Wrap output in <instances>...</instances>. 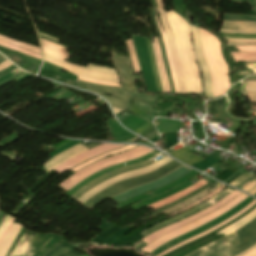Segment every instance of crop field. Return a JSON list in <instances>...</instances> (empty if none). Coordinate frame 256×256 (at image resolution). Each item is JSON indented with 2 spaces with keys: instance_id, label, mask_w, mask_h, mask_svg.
I'll return each mask as SVG.
<instances>
[{
  "instance_id": "crop-field-1",
  "label": "crop field",
  "mask_w": 256,
  "mask_h": 256,
  "mask_svg": "<svg viewBox=\"0 0 256 256\" xmlns=\"http://www.w3.org/2000/svg\"><path fill=\"white\" fill-rule=\"evenodd\" d=\"M166 16L169 27L175 37L187 93H201L200 76L191 45L189 25L181 16L173 11L167 12Z\"/></svg>"
},
{
  "instance_id": "crop-field-2",
  "label": "crop field",
  "mask_w": 256,
  "mask_h": 256,
  "mask_svg": "<svg viewBox=\"0 0 256 256\" xmlns=\"http://www.w3.org/2000/svg\"><path fill=\"white\" fill-rule=\"evenodd\" d=\"M256 244V218L248 224L187 256H235Z\"/></svg>"
},
{
  "instance_id": "crop-field-3",
  "label": "crop field",
  "mask_w": 256,
  "mask_h": 256,
  "mask_svg": "<svg viewBox=\"0 0 256 256\" xmlns=\"http://www.w3.org/2000/svg\"><path fill=\"white\" fill-rule=\"evenodd\" d=\"M202 47L208 66L211 70L213 97L225 93L230 87L228 82V67L220 53V42L212 34L200 29Z\"/></svg>"
},
{
  "instance_id": "crop-field-4",
  "label": "crop field",
  "mask_w": 256,
  "mask_h": 256,
  "mask_svg": "<svg viewBox=\"0 0 256 256\" xmlns=\"http://www.w3.org/2000/svg\"><path fill=\"white\" fill-rule=\"evenodd\" d=\"M180 165H182V164L173 160L150 174L121 181V182L103 190L102 192L96 194L89 201H87L86 203H84L82 205L91 211L97 204L104 201L105 199H107L121 191L138 186L142 183L155 180V179L169 173L170 171H172L173 169L177 168Z\"/></svg>"
},
{
  "instance_id": "crop-field-5",
  "label": "crop field",
  "mask_w": 256,
  "mask_h": 256,
  "mask_svg": "<svg viewBox=\"0 0 256 256\" xmlns=\"http://www.w3.org/2000/svg\"><path fill=\"white\" fill-rule=\"evenodd\" d=\"M151 151H152V149H148V148L139 146V147H137L131 151L125 152L123 154L111 156L103 161L93 164V165L73 174L72 176H70L68 179H66L63 183H61L58 186L68 190L71 187H73L74 185H76L78 182H80L82 179H84L85 177H87L88 175H90L94 172L102 170V169L109 167L111 165H114L116 163L136 159V158H138L142 155H145Z\"/></svg>"
},
{
  "instance_id": "crop-field-6",
  "label": "crop field",
  "mask_w": 256,
  "mask_h": 256,
  "mask_svg": "<svg viewBox=\"0 0 256 256\" xmlns=\"http://www.w3.org/2000/svg\"><path fill=\"white\" fill-rule=\"evenodd\" d=\"M44 58L46 61H48L54 65L60 66L75 75H79L81 77L92 79V80L119 83L118 77H117L114 69L94 66V65H90V64L88 65L87 68H83V67H79V66L73 65L71 63L65 62L58 58L52 57L45 53H44Z\"/></svg>"
},
{
  "instance_id": "crop-field-7",
  "label": "crop field",
  "mask_w": 256,
  "mask_h": 256,
  "mask_svg": "<svg viewBox=\"0 0 256 256\" xmlns=\"http://www.w3.org/2000/svg\"><path fill=\"white\" fill-rule=\"evenodd\" d=\"M189 171H191V169L182 165L158 180H155V181L147 183L145 185L130 189L124 193L113 196L110 199L114 200L115 202H117L119 204L123 203L139 194H143L148 191L155 190V189L177 179L178 177L184 175L185 173H187Z\"/></svg>"
},
{
  "instance_id": "crop-field-8",
  "label": "crop field",
  "mask_w": 256,
  "mask_h": 256,
  "mask_svg": "<svg viewBox=\"0 0 256 256\" xmlns=\"http://www.w3.org/2000/svg\"><path fill=\"white\" fill-rule=\"evenodd\" d=\"M67 84L77 86V87L89 90L91 92H95V93L103 96L112 107H116V108L123 109V110H125L128 107L129 102L132 97L131 95L121 93V89H119V88L89 84V83L81 82L78 80H76L75 83L67 81ZM106 93L116 96L128 103H126L118 98L107 96V95H105Z\"/></svg>"
},
{
  "instance_id": "crop-field-9",
  "label": "crop field",
  "mask_w": 256,
  "mask_h": 256,
  "mask_svg": "<svg viewBox=\"0 0 256 256\" xmlns=\"http://www.w3.org/2000/svg\"><path fill=\"white\" fill-rule=\"evenodd\" d=\"M156 1H157L158 9H159V12H160V16H161L162 27H163V29L166 33V37H167V41H168V45H169V49H170V53H171V59H172L173 67H174V70H175V73H176V76H177L179 91H180V93H186L182 70H181V67H180L179 60H178L177 55H176L174 38H173L172 33H171V31L168 27L167 20H166V17H165V13H164L163 0H156Z\"/></svg>"
},
{
  "instance_id": "crop-field-10",
  "label": "crop field",
  "mask_w": 256,
  "mask_h": 256,
  "mask_svg": "<svg viewBox=\"0 0 256 256\" xmlns=\"http://www.w3.org/2000/svg\"><path fill=\"white\" fill-rule=\"evenodd\" d=\"M238 194H240V192L234 190L231 194H229L227 197L222 199L217 204L211 206L210 208H208V209H206V210H204V211H202V212H200L198 214H195V215H193V216H191L189 218H186V219H184L182 221H179V222H177V223H175L173 225H170V226H168V227H166V228H164V229H162V230H160V231H158V232H156V233H154V234H152V235H150V236H148V237H146V238H144L142 240L145 241L148 244V243L152 242L153 240L161 237L162 235H164V234H166V233H168V232H170L172 230H175L177 228H180V227L190 223L191 221H193V220H195V219H197V218H199V217H201V216H203V215H205V214H207V213H209V212H211V211H213V210L223 206L228 201H230L231 199L236 197Z\"/></svg>"
},
{
  "instance_id": "crop-field-11",
  "label": "crop field",
  "mask_w": 256,
  "mask_h": 256,
  "mask_svg": "<svg viewBox=\"0 0 256 256\" xmlns=\"http://www.w3.org/2000/svg\"><path fill=\"white\" fill-rule=\"evenodd\" d=\"M112 60L122 80V86H123L122 92L124 93L136 92L135 83L133 81L135 77L132 74V69H131L129 59L126 57H121L113 51Z\"/></svg>"
},
{
  "instance_id": "crop-field-12",
  "label": "crop field",
  "mask_w": 256,
  "mask_h": 256,
  "mask_svg": "<svg viewBox=\"0 0 256 256\" xmlns=\"http://www.w3.org/2000/svg\"><path fill=\"white\" fill-rule=\"evenodd\" d=\"M172 159H170L169 157H164L163 159L159 160L158 162H156L155 164L151 165L150 167H147V168H143V169H140V170H136V171H133V172H130V173H126V174H123V175H120L118 177H115L93 189H91L89 192H87L85 195H83L81 198H79L77 200V202L79 203H83L85 202L87 199H89L91 196H93L95 193L103 190L104 188L118 182V181H121V180H124L126 178H129V177H133V176H136V175H140V174H145V173H149L151 172L152 170L162 166L163 164L167 163L168 161H170Z\"/></svg>"
},
{
  "instance_id": "crop-field-13",
  "label": "crop field",
  "mask_w": 256,
  "mask_h": 256,
  "mask_svg": "<svg viewBox=\"0 0 256 256\" xmlns=\"http://www.w3.org/2000/svg\"><path fill=\"white\" fill-rule=\"evenodd\" d=\"M149 166L147 163L145 162H141L139 164H134V165H129V166H125V167H121V168H117L114 171H110L104 175H102L101 177L87 183L86 185H84L83 187H81L80 189H78L77 191L74 192V194L72 196H70L72 199H74L75 201L82 196L83 194H85L87 191H89L91 188H93L94 186L112 178L115 176H118L120 174L129 172V171H133L139 168H143Z\"/></svg>"
},
{
  "instance_id": "crop-field-14",
  "label": "crop field",
  "mask_w": 256,
  "mask_h": 256,
  "mask_svg": "<svg viewBox=\"0 0 256 256\" xmlns=\"http://www.w3.org/2000/svg\"><path fill=\"white\" fill-rule=\"evenodd\" d=\"M191 28H192V34H193L194 47H195L197 61L200 66L201 72L203 74V81H204L206 97H212L210 71L208 69V66L206 64V61H205V58L203 55L199 30L197 27H194L192 25H191Z\"/></svg>"
},
{
  "instance_id": "crop-field-15",
  "label": "crop field",
  "mask_w": 256,
  "mask_h": 256,
  "mask_svg": "<svg viewBox=\"0 0 256 256\" xmlns=\"http://www.w3.org/2000/svg\"><path fill=\"white\" fill-rule=\"evenodd\" d=\"M230 192H232V190L225 189L224 191H222L221 193H219L215 197H213L210 200L206 201L205 203L201 204L200 206H198V207H196V208H194V209H192V210H190V211H188V212H186V213H184V214H182L180 216H177V217L172 218V219H170L168 221H165V222H163L161 224H158V225H156V226H154V227H152V228H150V229H148V230H146V231H144V232H142L140 234L145 237V236H147V235H149V234H151V233H153V232H155V231H157V230H159V229H161L163 227H166V226H168V225H170V224H172L174 222H177V221H179V220H181V219H183L185 217L193 215V214H195V213H197V212H199V211H201V210H203V209H205V208L215 204L216 202H218L219 200H221L222 198L227 196Z\"/></svg>"
},
{
  "instance_id": "crop-field-16",
  "label": "crop field",
  "mask_w": 256,
  "mask_h": 256,
  "mask_svg": "<svg viewBox=\"0 0 256 256\" xmlns=\"http://www.w3.org/2000/svg\"><path fill=\"white\" fill-rule=\"evenodd\" d=\"M197 173L198 172L192 171L189 174H187L186 176L182 177L181 179H179V180H177V181H175V182H173V183H171V184H169V185H167L165 187H162V188H160L158 190H155V196H157V195H159V194H161V193H163V192H165V191H167L169 189H172V188H174V187L184 183L185 181L193 178ZM150 197H153V196L150 193H148V194L136 197V198H134V199H132V200H130L128 202H125V203L121 204V205H118V206L114 207V209L120 211V210H122V209H124V208H126V207H128V206H130L132 204H135V203H137V202H139L141 200L143 201V200H145L147 198H150Z\"/></svg>"
},
{
  "instance_id": "crop-field-17",
  "label": "crop field",
  "mask_w": 256,
  "mask_h": 256,
  "mask_svg": "<svg viewBox=\"0 0 256 256\" xmlns=\"http://www.w3.org/2000/svg\"><path fill=\"white\" fill-rule=\"evenodd\" d=\"M87 149L85 147H83L82 145H77L61 154H59L58 156L54 157L53 159H51L50 161H48L44 166L45 168L48 170V172L50 170H52L54 167L60 165L61 163L85 152Z\"/></svg>"
},
{
  "instance_id": "crop-field-18",
  "label": "crop field",
  "mask_w": 256,
  "mask_h": 256,
  "mask_svg": "<svg viewBox=\"0 0 256 256\" xmlns=\"http://www.w3.org/2000/svg\"><path fill=\"white\" fill-rule=\"evenodd\" d=\"M222 28L248 30V31H233V30L221 29L220 31L223 33L253 34V33H256V22L223 21Z\"/></svg>"
},
{
  "instance_id": "crop-field-19",
  "label": "crop field",
  "mask_w": 256,
  "mask_h": 256,
  "mask_svg": "<svg viewBox=\"0 0 256 256\" xmlns=\"http://www.w3.org/2000/svg\"><path fill=\"white\" fill-rule=\"evenodd\" d=\"M191 185H193V184L190 183L189 181H187L184 184H182V185H180V186H178V187H176V188H174V189H172V190H170V191H168V192H166L164 194H161V195H159V196H157L155 198H152V199L145 200V201H143V202H141V203H139V204H137V205H135V206H133L131 208H133V209L138 211V210L142 209L143 207H145V206H147V205H149V204H151V203H153L155 201H158V200L163 199L165 197H168V196H170L172 194L180 192V191L186 189L187 187H189Z\"/></svg>"
},
{
  "instance_id": "crop-field-20",
  "label": "crop field",
  "mask_w": 256,
  "mask_h": 256,
  "mask_svg": "<svg viewBox=\"0 0 256 256\" xmlns=\"http://www.w3.org/2000/svg\"><path fill=\"white\" fill-rule=\"evenodd\" d=\"M34 236L35 233L25 230L11 256H22Z\"/></svg>"
},
{
  "instance_id": "crop-field-21",
  "label": "crop field",
  "mask_w": 256,
  "mask_h": 256,
  "mask_svg": "<svg viewBox=\"0 0 256 256\" xmlns=\"http://www.w3.org/2000/svg\"><path fill=\"white\" fill-rule=\"evenodd\" d=\"M223 101L224 97L218 100L208 101L206 104L207 112L217 115L215 122H220L223 117Z\"/></svg>"
},
{
  "instance_id": "crop-field-22",
  "label": "crop field",
  "mask_w": 256,
  "mask_h": 256,
  "mask_svg": "<svg viewBox=\"0 0 256 256\" xmlns=\"http://www.w3.org/2000/svg\"><path fill=\"white\" fill-rule=\"evenodd\" d=\"M21 226L18 224H15L12 226L10 229L9 233L7 234L6 238L4 239L3 243L0 246V256H4L5 253L7 252L8 248L10 247L11 243L15 239L16 235L20 231Z\"/></svg>"
},
{
  "instance_id": "crop-field-23",
  "label": "crop field",
  "mask_w": 256,
  "mask_h": 256,
  "mask_svg": "<svg viewBox=\"0 0 256 256\" xmlns=\"http://www.w3.org/2000/svg\"><path fill=\"white\" fill-rule=\"evenodd\" d=\"M155 17H156V22H157L158 28H159V30L161 32V35H162V38H163L165 53H166V57H167V60H168V64H169V68H170V72H171V76H172V80H173V84H174V90H175V93H179L176 78H175V74H174V70H173V67H172V64H171V59H170V54H169L166 38H165V36L163 34V31L160 27L158 15L155 14Z\"/></svg>"
},
{
  "instance_id": "crop-field-24",
  "label": "crop field",
  "mask_w": 256,
  "mask_h": 256,
  "mask_svg": "<svg viewBox=\"0 0 256 256\" xmlns=\"http://www.w3.org/2000/svg\"><path fill=\"white\" fill-rule=\"evenodd\" d=\"M220 185H221V184H219L217 187L213 188L212 190H210V191L207 192L206 194H204V195H202V196H200V197H198V198H196V199L190 201L191 199L195 198L196 196H198V195H200L201 193H203V192H205V191H207V190L210 189V188H207V189L203 190L202 192H200L199 194H197V195H195V196H193V197H191V198H189V199H187V200H185V201H183V202H181V203H179V204H177V205H175V206H173V207H171V208H169V209H167V210H164V211H162V212H160V213H158V214H156V215H153V216H151V217L145 219L144 221H146V220H148V219H150V218H153V217H155V216H157V215H160V214H162V213H164V212H166V211H168V210H170V209H173V208H175V207H177V206H180V205H182V204H184V203L190 201V202H188V203H186V204H184V205H182V206H180V207H178V208H175V209H173V210L167 212L166 214L173 213V212H175V211H177V210H179V209H181V208H183V207H185V206L191 204L192 202L198 200L199 198H201V197H203V196H205V195H207V194L213 192V191L216 190Z\"/></svg>"
},
{
  "instance_id": "crop-field-25",
  "label": "crop field",
  "mask_w": 256,
  "mask_h": 256,
  "mask_svg": "<svg viewBox=\"0 0 256 256\" xmlns=\"http://www.w3.org/2000/svg\"><path fill=\"white\" fill-rule=\"evenodd\" d=\"M135 147H137V146L129 145V146L124 147L122 149L105 153V154H103V155H101V156H99L97 158H94V159H92V160H90V161H88V162H86L84 164L78 165L77 167L71 169V171L76 172V171H78V170H80V169H82V168H84V167H86V166H88V165H90V164H92V163H94V162L104 158V157L111 156V155H114V154H117V153H121V152L127 151V150L135 148Z\"/></svg>"
},
{
  "instance_id": "crop-field-26",
  "label": "crop field",
  "mask_w": 256,
  "mask_h": 256,
  "mask_svg": "<svg viewBox=\"0 0 256 256\" xmlns=\"http://www.w3.org/2000/svg\"><path fill=\"white\" fill-rule=\"evenodd\" d=\"M234 61H256V53L253 52H231Z\"/></svg>"
},
{
  "instance_id": "crop-field-27",
  "label": "crop field",
  "mask_w": 256,
  "mask_h": 256,
  "mask_svg": "<svg viewBox=\"0 0 256 256\" xmlns=\"http://www.w3.org/2000/svg\"><path fill=\"white\" fill-rule=\"evenodd\" d=\"M45 235L46 234L37 233L36 237L32 240V242L30 243L29 247L27 248V250H26V252L24 253L23 256H32L33 253L38 248L41 240L44 238Z\"/></svg>"
},
{
  "instance_id": "crop-field-28",
  "label": "crop field",
  "mask_w": 256,
  "mask_h": 256,
  "mask_svg": "<svg viewBox=\"0 0 256 256\" xmlns=\"http://www.w3.org/2000/svg\"><path fill=\"white\" fill-rule=\"evenodd\" d=\"M125 42H126V45L128 47L129 54H130L135 72H138V71H140V68H139V64H138V60H137V57H136V53H135V50H134L133 43H132L131 40H128V41H125Z\"/></svg>"
},
{
  "instance_id": "crop-field-29",
  "label": "crop field",
  "mask_w": 256,
  "mask_h": 256,
  "mask_svg": "<svg viewBox=\"0 0 256 256\" xmlns=\"http://www.w3.org/2000/svg\"><path fill=\"white\" fill-rule=\"evenodd\" d=\"M224 188H225V186L222 185L218 190H216V191H214L213 193L209 194V195L206 196L205 198H203V199H201V200H199V201H197V202H195V203H193V204H191V205H189V206H187V207H185V208H183V209H181V210H179V211H177V212H175V213H173V214H171V215H169V216L172 217V216H174V215H176V214H178V213H180V212H182V211H184V210H187V209H189V208H191V207H193V206L199 204L200 202H202V201H204V200H206V199H208V198L214 196L216 193H218L219 191H221V190L224 189Z\"/></svg>"
},
{
  "instance_id": "crop-field-30",
  "label": "crop field",
  "mask_w": 256,
  "mask_h": 256,
  "mask_svg": "<svg viewBox=\"0 0 256 256\" xmlns=\"http://www.w3.org/2000/svg\"><path fill=\"white\" fill-rule=\"evenodd\" d=\"M152 47H153V51H154L156 66H157L159 77H160L161 84H162V89H163V92H167L166 87H165V83L163 81L162 73H161V68H160V64H159V60H158V56H157L156 46H155L154 43H152Z\"/></svg>"
},
{
  "instance_id": "crop-field-31",
  "label": "crop field",
  "mask_w": 256,
  "mask_h": 256,
  "mask_svg": "<svg viewBox=\"0 0 256 256\" xmlns=\"http://www.w3.org/2000/svg\"><path fill=\"white\" fill-rule=\"evenodd\" d=\"M154 41H155V44L157 46L158 56H159V60H160V64H161V68H162V72H163V77H164V80H165V83H166L167 91H168V93H170L168 78H167V76L165 74L163 59H162V55L160 53V48H159V44L157 42L156 37L154 38Z\"/></svg>"
},
{
  "instance_id": "crop-field-32",
  "label": "crop field",
  "mask_w": 256,
  "mask_h": 256,
  "mask_svg": "<svg viewBox=\"0 0 256 256\" xmlns=\"http://www.w3.org/2000/svg\"><path fill=\"white\" fill-rule=\"evenodd\" d=\"M173 135H174V142L176 144L177 143V137L175 136L174 132H173ZM173 135H172V132L164 133V140H165V147H166V149H168L169 147L174 145Z\"/></svg>"
},
{
  "instance_id": "crop-field-33",
  "label": "crop field",
  "mask_w": 256,
  "mask_h": 256,
  "mask_svg": "<svg viewBox=\"0 0 256 256\" xmlns=\"http://www.w3.org/2000/svg\"><path fill=\"white\" fill-rule=\"evenodd\" d=\"M255 212H256V209L253 210L251 213L247 214L246 216H244L243 218H241L240 220H238L237 222H235L234 224H232L231 226H229V227L223 229L222 231H220V232H218V233H216V234H214V235L218 236V235H220L221 233H223V232H225V231L231 229L232 227H234L235 225L239 224L240 222H242L243 220H245L246 218H248L249 216H251V215H252L253 213H255Z\"/></svg>"
},
{
  "instance_id": "crop-field-34",
  "label": "crop field",
  "mask_w": 256,
  "mask_h": 256,
  "mask_svg": "<svg viewBox=\"0 0 256 256\" xmlns=\"http://www.w3.org/2000/svg\"><path fill=\"white\" fill-rule=\"evenodd\" d=\"M245 91H256V81H245Z\"/></svg>"
},
{
  "instance_id": "crop-field-35",
  "label": "crop field",
  "mask_w": 256,
  "mask_h": 256,
  "mask_svg": "<svg viewBox=\"0 0 256 256\" xmlns=\"http://www.w3.org/2000/svg\"><path fill=\"white\" fill-rule=\"evenodd\" d=\"M24 228L22 227L21 231L19 232V234L17 235L16 239L14 240V242L12 243L11 247L9 248L8 252L6 253L5 256H10L13 248L15 247V245L17 244L18 240L20 239L21 235L23 234L24 232Z\"/></svg>"
},
{
  "instance_id": "crop-field-36",
  "label": "crop field",
  "mask_w": 256,
  "mask_h": 256,
  "mask_svg": "<svg viewBox=\"0 0 256 256\" xmlns=\"http://www.w3.org/2000/svg\"><path fill=\"white\" fill-rule=\"evenodd\" d=\"M25 74H27V73H25V72L22 71V72H20L19 74L15 75V76H13V77H11V78L6 79L5 81H3V82L0 83V87H2V86H4V85H6V84H8V83H10V82H12V81L18 79L19 77H21V76H23V75H25Z\"/></svg>"
},
{
  "instance_id": "crop-field-37",
  "label": "crop field",
  "mask_w": 256,
  "mask_h": 256,
  "mask_svg": "<svg viewBox=\"0 0 256 256\" xmlns=\"http://www.w3.org/2000/svg\"><path fill=\"white\" fill-rule=\"evenodd\" d=\"M253 174H249V173H246L244 175H242L241 177L235 179L233 182L230 183V185H233V186H237L239 185L243 180H245L246 178L252 176Z\"/></svg>"
},
{
  "instance_id": "crop-field-38",
  "label": "crop field",
  "mask_w": 256,
  "mask_h": 256,
  "mask_svg": "<svg viewBox=\"0 0 256 256\" xmlns=\"http://www.w3.org/2000/svg\"><path fill=\"white\" fill-rule=\"evenodd\" d=\"M229 46H256V43L252 42H227Z\"/></svg>"
},
{
  "instance_id": "crop-field-39",
  "label": "crop field",
  "mask_w": 256,
  "mask_h": 256,
  "mask_svg": "<svg viewBox=\"0 0 256 256\" xmlns=\"http://www.w3.org/2000/svg\"><path fill=\"white\" fill-rule=\"evenodd\" d=\"M56 243H57V242H56ZM64 245H66V243L63 242V241H61V240H59L58 243H57L53 248H51V249H50L45 255H43V256H48V255H50L52 252H54L55 250H57V249L63 247Z\"/></svg>"
},
{
  "instance_id": "crop-field-40",
  "label": "crop field",
  "mask_w": 256,
  "mask_h": 256,
  "mask_svg": "<svg viewBox=\"0 0 256 256\" xmlns=\"http://www.w3.org/2000/svg\"><path fill=\"white\" fill-rule=\"evenodd\" d=\"M255 217H256V213L254 215H252L251 217H249L248 219H246L245 221H243L242 223H240L239 225H237L236 227H234L231 230L227 231L223 235L225 236V235L229 234L230 232L236 230L237 228H239V227L243 226L244 224H246L247 222L251 221Z\"/></svg>"
},
{
  "instance_id": "crop-field-41",
  "label": "crop field",
  "mask_w": 256,
  "mask_h": 256,
  "mask_svg": "<svg viewBox=\"0 0 256 256\" xmlns=\"http://www.w3.org/2000/svg\"><path fill=\"white\" fill-rule=\"evenodd\" d=\"M16 219H14L12 217L11 221L9 222V224L7 225V227L5 228V230L3 231V233L0 235V244L3 241L4 237L6 236L7 232L9 231L11 225L14 223Z\"/></svg>"
},
{
  "instance_id": "crop-field-42",
  "label": "crop field",
  "mask_w": 256,
  "mask_h": 256,
  "mask_svg": "<svg viewBox=\"0 0 256 256\" xmlns=\"http://www.w3.org/2000/svg\"><path fill=\"white\" fill-rule=\"evenodd\" d=\"M77 79H78V80L85 81V82H89V83H95V84H101V85H108V86H114V87H119V88H121L120 85H117V84L96 82V81H91V80H87V79L80 78V77H78Z\"/></svg>"
},
{
  "instance_id": "crop-field-43",
  "label": "crop field",
  "mask_w": 256,
  "mask_h": 256,
  "mask_svg": "<svg viewBox=\"0 0 256 256\" xmlns=\"http://www.w3.org/2000/svg\"><path fill=\"white\" fill-rule=\"evenodd\" d=\"M0 40H2V41H4V42H7V43H9V44H11V45L18 46V47H21V48H24V49L30 50V51H32V52H35V53H38V54H40V55H41V53H40L39 51H36V50L30 49V48H27V47H25V46H22V45H19V44H16V43H13V42H10V41H7V40H4V39H1V38H0Z\"/></svg>"
},
{
  "instance_id": "crop-field-44",
  "label": "crop field",
  "mask_w": 256,
  "mask_h": 256,
  "mask_svg": "<svg viewBox=\"0 0 256 256\" xmlns=\"http://www.w3.org/2000/svg\"><path fill=\"white\" fill-rule=\"evenodd\" d=\"M80 255H82V254H80L74 250H71V251L64 252L58 256H80Z\"/></svg>"
},
{
  "instance_id": "crop-field-45",
  "label": "crop field",
  "mask_w": 256,
  "mask_h": 256,
  "mask_svg": "<svg viewBox=\"0 0 256 256\" xmlns=\"http://www.w3.org/2000/svg\"><path fill=\"white\" fill-rule=\"evenodd\" d=\"M11 219V216H8L5 218V220L3 221V223L0 225V234L2 233V231L4 230V228L6 227V225L8 224L9 220Z\"/></svg>"
},
{
  "instance_id": "crop-field-46",
  "label": "crop field",
  "mask_w": 256,
  "mask_h": 256,
  "mask_svg": "<svg viewBox=\"0 0 256 256\" xmlns=\"http://www.w3.org/2000/svg\"><path fill=\"white\" fill-rule=\"evenodd\" d=\"M239 51H254L256 52V47H236Z\"/></svg>"
},
{
  "instance_id": "crop-field-47",
  "label": "crop field",
  "mask_w": 256,
  "mask_h": 256,
  "mask_svg": "<svg viewBox=\"0 0 256 256\" xmlns=\"http://www.w3.org/2000/svg\"><path fill=\"white\" fill-rule=\"evenodd\" d=\"M1 38H4V39H7V40H10V41H13V42H16V43H19V44H22V45H25L27 47H30V48H33V49H36V50H39V48H36V47H33V46H30V45H27V44H24V43H21V42H18V41H15V40H12V39H9V38H6V37H3V36H0Z\"/></svg>"
},
{
  "instance_id": "crop-field-48",
  "label": "crop field",
  "mask_w": 256,
  "mask_h": 256,
  "mask_svg": "<svg viewBox=\"0 0 256 256\" xmlns=\"http://www.w3.org/2000/svg\"><path fill=\"white\" fill-rule=\"evenodd\" d=\"M246 94H247V96H248V98H249L250 100L256 101V93L246 92ZM252 109H253V110H256V109H254V108H252Z\"/></svg>"
},
{
  "instance_id": "crop-field-49",
  "label": "crop field",
  "mask_w": 256,
  "mask_h": 256,
  "mask_svg": "<svg viewBox=\"0 0 256 256\" xmlns=\"http://www.w3.org/2000/svg\"><path fill=\"white\" fill-rule=\"evenodd\" d=\"M255 185H256V182L253 181V182H251L249 185H247L245 188H243V190H245V191L248 192V191L251 190Z\"/></svg>"
},
{
  "instance_id": "crop-field-50",
  "label": "crop field",
  "mask_w": 256,
  "mask_h": 256,
  "mask_svg": "<svg viewBox=\"0 0 256 256\" xmlns=\"http://www.w3.org/2000/svg\"><path fill=\"white\" fill-rule=\"evenodd\" d=\"M255 248H256V245H255V246H253L252 248H250V249L246 250L245 252H243V253H241V254L237 255V256H243L244 254L248 253L249 251H251V250H253V249H255Z\"/></svg>"
},
{
  "instance_id": "crop-field-51",
  "label": "crop field",
  "mask_w": 256,
  "mask_h": 256,
  "mask_svg": "<svg viewBox=\"0 0 256 256\" xmlns=\"http://www.w3.org/2000/svg\"><path fill=\"white\" fill-rule=\"evenodd\" d=\"M244 256H256V249L249 252L248 254L244 255Z\"/></svg>"
},
{
  "instance_id": "crop-field-52",
  "label": "crop field",
  "mask_w": 256,
  "mask_h": 256,
  "mask_svg": "<svg viewBox=\"0 0 256 256\" xmlns=\"http://www.w3.org/2000/svg\"><path fill=\"white\" fill-rule=\"evenodd\" d=\"M30 76H31V75L28 74V75L24 76L23 78L17 80V82L19 83V82L25 80L26 78H28V77H30Z\"/></svg>"
},
{
  "instance_id": "crop-field-53",
  "label": "crop field",
  "mask_w": 256,
  "mask_h": 256,
  "mask_svg": "<svg viewBox=\"0 0 256 256\" xmlns=\"http://www.w3.org/2000/svg\"><path fill=\"white\" fill-rule=\"evenodd\" d=\"M225 39H236V40H256V39H241V38H225Z\"/></svg>"
},
{
  "instance_id": "crop-field-54",
  "label": "crop field",
  "mask_w": 256,
  "mask_h": 256,
  "mask_svg": "<svg viewBox=\"0 0 256 256\" xmlns=\"http://www.w3.org/2000/svg\"><path fill=\"white\" fill-rule=\"evenodd\" d=\"M38 33H39V32H38ZM39 34H40V35H43V36H46V37H49V38H52V39L56 40L57 42H60L59 40H57V39H55V38H53V37L47 36V35L42 34V33H39Z\"/></svg>"
},
{
  "instance_id": "crop-field-55",
  "label": "crop field",
  "mask_w": 256,
  "mask_h": 256,
  "mask_svg": "<svg viewBox=\"0 0 256 256\" xmlns=\"http://www.w3.org/2000/svg\"><path fill=\"white\" fill-rule=\"evenodd\" d=\"M157 140H159V138H158V136L157 137H155V138H153V139H151V140H149V141H151V142H156Z\"/></svg>"
},
{
  "instance_id": "crop-field-56",
  "label": "crop field",
  "mask_w": 256,
  "mask_h": 256,
  "mask_svg": "<svg viewBox=\"0 0 256 256\" xmlns=\"http://www.w3.org/2000/svg\"><path fill=\"white\" fill-rule=\"evenodd\" d=\"M7 60L6 58H4L2 55H0V63Z\"/></svg>"
},
{
  "instance_id": "crop-field-57",
  "label": "crop field",
  "mask_w": 256,
  "mask_h": 256,
  "mask_svg": "<svg viewBox=\"0 0 256 256\" xmlns=\"http://www.w3.org/2000/svg\"><path fill=\"white\" fill-rule=\"evenodd\" d=\"M10 65H12V63H11V62H10V63H8L7 65H5V66L1 67V68H0V70L4 69V68H6V67H8V66H10Z\"/></svg>"
},
{
  "instance_id": "crop-field-58",
  "label": "crop field",
  "mask_w": 256,
  "mask_h": 256,
  "mask_svg": "<svg viewBox=\"0 0 256 256\" xmlns=\"http://www.w3.org/2000/svg\"><path fill=\"white\" fill-rule=\"evenodd\" d=\"M249 193L254 195L256 193V187L253 190H251Z\"/></svg>"
},
{
  "instance_id": "crop-field-59",
  "label": "crop field",
  "mask_w": 256,
  "mask_h": 256,
  "mask_svg": "<svg viewBox=\"0 0 256 256\" xmlns=\"http://www.w3.org/2000/svg\"><path fill=\"white\" fill-rule=\"evenodd\" d=\"M8 62H10V61L7 60V61L1 63V64H0V67L3 66V65H5V64L8 63Z\"/></svg>"
},
{
  "instance_id": "crop-field-60",
  "label": "crop field",
  "mask_w": 256,
  "mask_h": 256,
  "mask_svg": "<svg viewBox=\"0 0 256 256\" xmlns=\"http://www.w3.org/2000/svg\"><path fill=\"white\" fill-rule=\"evenodd\" d=\"M113 109V108H112ZM113 111L116 113L120 112V110L113 109Z\"/></svg>"
},
{
  "instance_id": "crop-field-61",
  "label": "crop field",
  "mask_w": 256,
  "mask_h": 256,
  "mask_svg": "<svg viewBox=\"0 0 256 256\" xmlns=\"http://www.w3.org/2000/svg\"><path fill=\"white\" fill-rule=\"evenodd\" d=\"M247 78H256V76H249V77H247Z\"/></svg>"
},
{
  "instance_id": "crop-field-62",
  "label": "crop field",
  "mask_w": 256,
  "mask_h": 256,
  "mask_svg": "<svg viewBox=\"0 0 256 256\" xmlns=\"http://www.w3.org/2000/svg\"><path fill=\"white\" fill-rule=\"evenodd\" d=\"M227 41H235V40H227ZM253 42H256V41H253Z\"/></svg>"
},
{
  "instance_id": "crop-field-63",
  "label": "crop field",
  "mask_w": 256,
  "mask_h": 256,
  "mask_svg": "<svg viewBox=\"0 0 256 256\" xmlns=\"http://www.w3.org/2000/svg\"><path fill=\"white\" fill-rule=\"evenodd\" d=\"M3 212L0 211V216L2 215Z\"/></svg>"
},
{
  "instance_id": "crop-field-64",
  "label": "crop field",
  "mask_w": 256,
  "mask_h": 256,
  "mask_svg": "<svg viewBox=\"0 0 256 256\" xmlns=\"http://www.w3.org/2000/svg\"><path fill=\"white\" fill-rule=\"evenodd\" d=\"M82 256H84V255H82Z\"/></svg>"
}]
</instances>
